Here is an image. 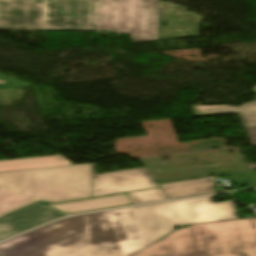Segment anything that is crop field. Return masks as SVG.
<instances>
[{
	"mask_svg": "<svg viewBox=\"0 0 256 256\" xmlns=\"http://www.w3.org/2000/svg\"><path fill=\"white\" fill-rule=\"evenodd\" d=\"M28 85H31V84L20 82L0 74V88L28 86Z\"/></svg>",
	"mask_w": 256,
	"mask_h": 256,
	"instance_id": "crop-field-13",
	"label": "crop field"
},
{
	"mask_svg": "<svg viewBox=\"0 0 256 256\" xmlns=\"http://www.w3.org/2000/svg\"><path fill=\"white\" fill-rule=\"evenodd\" d=\"M235 185L246 184L249 187L256 186V171L241 172L226 175Z\"/></svg>",
	"mask_w": 256,
	"mask_h": 256,
	"instance_id": "crop-field-12",
	"label": "crop field"
},
{
	"mask_svg": "<svg viewBox=\"0 0 256 256\" xmlns=\"http://www.w3.org/2000/svg\"><path fill=\"white\" fill-rule=\"evenodd\" d=\"M211 197L62 219L6 242L0 256H132L180 225L238 219Z\"/></svg>",
	"mask_w": 256,
	"mask_h": 256,
	"instance_id": "crop-field-1",
	"label": "crop field"
},
{
	"mask_svg": "<svg viewBox=\"0 0 256 256\" xmlns=\"http://www.w3.org/2000/svg\"><path fill=\"white\" fill-rule=\"evenodd\" d=\"M62 215L65 214L37 203L15 214L1 218L0 240Z\"/></svg>",
	"mask_w": 256,
	"mask_h": 256,
	"instance_id": "crop-field-6",
	"label": "crop field"
},
{
	"mask_svg": "<svg viewBox=\"0 0 256 256\" xmlns=\"http://www.w3.org/2000/svg\"><path fill=\"white\" fill-rule=\"evenodd\" d=\"M134 256H256V218L194 224Z\"/></svg>",
	"mask_w": 256,
	"mask_h": 256,
	"instance_id": "crop-field-3",
	"label": "crop field"
},
{
	"mask_svg": "<svg viewBox=\"0 0 256 256\" xmlns=\"http://www.w3.org/2000/svg\"><path fill=\"white\" fill-rule=\"evenodd\" d=\"M91 197V164L0 173V217L39 200Z\"/></svg>",
	"mask_w": 256,
	"mask_h": 256,
	"instance_id": "crop-field-4",
	"label": "crop field"
},
{
	"mask_svg": "<svg viewBox=\"0 0 256 256\" xmlns=\"http://www.w3.org/2000/svg\"><path fill=\"white\" fill-rule=\"evenodd\" d=\"M238 114L250 139L251 145H256V112H244Z\"/></svg>",
	"mask_w": 256,
	"mask_h": 256,
	"instance_id": "crop-field-11",
	"label": "crop field"
},
{
	"mask_svg": "<svg viewBox=\"0 0 256 256\" xmlns=\"http://www.w3.org/2000/svg\"><path fill=\"white\" fill-rule=\"evenodd\" d=\"M216 176L162 184L169 199L214 192Z\"/></svg>",
	"mask_w": 256,
	"mask_h": 256,
	"instance_id": "crop-field-8",
	"label": "crop field"
},
{
	"mask_svg": "<svg viewBox=\"0 0 256 256\" xmlns=\"http://www.w3.org/2000/svg\"><path fill=\"white\" fill-rule=\"evenodd\" d=\"M159 0H0V29L109 30L157 39Z\"/></svg>",
	"mask_w": 256,
	"mask_h": 256,
	"instance_id": "crop-field-2",
	"label": "crop field"
},
{
	"mask_svg": "<svg viewBox=\"0 0 256 256\" xmlns=\"http://www.w3.org/2000/svg\"><path fill=\"white\" fill-rule=\"evenodd\" d=\"M252 91L256 92V86L253 87ZM193 109L196 116L244 112V111H256V101L242 104L240 105V107L194 105Z\"/></svg>",
	"mask_w": 256,
	"mask_h": 256,
	"instance_id": "crop-field-10",
	"label": "crop field"
},
{
	"mask_svg": "<svg viewBox=\"0 0 256 256\" xmlns=\"http://www.w3.org/2000/svg\"><path fill=\"white\" fill-rule=\"evenodd\" d=\"M159 187L145 168L94 175L92 164V197ZM133 205L166 200L168 197L159 189L128 194Z\"/></svg>",
	"mask_w": 256,
	"mask_h": 256,
	"instance_id": "crop-field-5",
	"label": "crop field"
},
{
	"mask_svg": "<svg viewBox=\"0 0 256 256\" xmlns=\"http://www.w3.org/2000/svg\"><path fill=\"white\" fill-rule=\"evenodd\" d=\"M44 203V202H41ZM67 214L101 208L131 205L126 194L81 199L57 204L44 203Z\"/></svg>",
	"mask_w": 256,
	"mask_h": 256,
	"instance_id": "crop-field-7",
	"label": "crop field"
},
{
	"mask_svg": "<svg viewBox=\"0 0 256 256\" xmlns=\"http://www.w3.org/2000/svg\"><path fill=\"white\" fill-rule=\"evenodd\" d=\"M72 164L61 155L0 161V172L53 167Z\"/></svg>",
	"mask_w": 256,
	"mask_h": 256,
	"instance_id": "crop-field-9",
	"label": "crop field"
}]
</instances>
